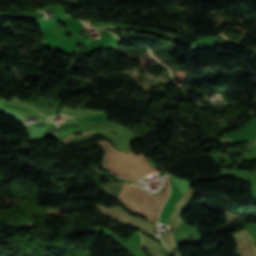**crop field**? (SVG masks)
Segmentation results:
<instances>
[{
  "label": "crop field",
  "mask_w": 256,
  "mask_h": 256,
  "mask_svg": "<svg viewBox=\"0 0 256 256\" xmlns=\"http://www.w3.org/2000/svg\"><path fill=\"white\" fill-rule=\"evenodd\" d=\"M159 193V192H158Z\"/></svg>",
  "instance_id": "412701ff"
},
{
  "label": "crop field",
  "mask_w": 256,
  "mask_h": 256,
  "mask_svg": "<svg viewBox=\"0 0 256 256\" xmlns=\"http://www.w3.org/2000/svg\"><path fill=\"white\" fill-rule=\"evenodd\" d=\"M233 236L237 242L235 254L256 256L255 240L246 229L234 233Z\"/></svg>",
  "instance_id": "8a807250"
},
{
  "label": "crop field",
  "mask_w": 256,
  "mask_h": 256,
  "mask_svg": "<svg viewBox=\"0 0 256 256\" xmlns=\"http://www.w3.org/2000/svg\"><path fill=\"white\" fill-rule=\"evenodd\" d=\"M61 115H63V114H61ZM64 117H72V116H67V115H63Z\"/></svg>",
  "instance_id": "34b2d1b8"
},
{
  "label": "crop field",
  "mask_w": 256,
  "mask_h": 256,
  "mask_svg": "<svg viewBox=\"0 0 256 256\" xmlns=\"http://www.w3.org/2000/svg\"><path fill=\"white\" fill-rule=\"evenodd\" d=\"M231 140H256V130L238 136L226 137Z\"/></svg>",
  "instance_id": "ac0d7876"
}]
</instances>
